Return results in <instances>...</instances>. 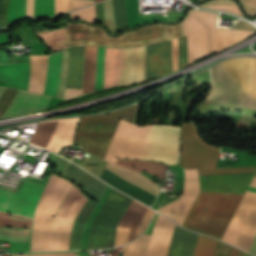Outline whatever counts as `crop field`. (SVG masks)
<instances>
[{
    "label": "crop field",
    "mask_w": 256,
    "mask_h": 256,
    "mask_svg": "<svg viewBox=\"0 0 256 256\" xmlns=\"http://www.w3.org/2000/svg\"><path fill=\"white\" fill-rule=\"evenodd\" d=\"M71 17L73 21L77 19H85L87 21L96 23L94 5L72 12Z\"/></svg>",
    "instance_id": "crop-field-36"
},
{
    "label": "crop field",
    "mask_w": 256,
    "mask_h": 256,
    "mask_svg": "<svg viewBox=\"0 0 256 256\" xmlns=\"http://www.w3.org/2000/svg\"><path fill=\"white\" fill-rule=\"evenodd\" d=\"M247 190H249V191H253V192H256V188H254V187H248V189Z\"/></svg>",
    "instance_id": "crop-field-56"
},
{
    "label": "crop field",
    "mask_w": 256,
    "mask_h": 256,
    "mask_svg": "<svg viewBox=\"0 0 256 256\" xmlns=\"http://www.w3.org/2000/svg\"><path fill=\"white\" fill-rule=\"evenodd\" d=\"M54 0H34V17L53 16Z\"/></svg>",
    "instance_id": "crop-field-29"
},
{
    "label": "crop field",
    "mask_w": 256,
    "mask_h": 256,
    "mask_svg": "<svg viewBox=\"0 0 256 256\" xmlns=\"http://www.w3.org/2000/svg\"><path fill=\"white\" fill-rule=\"evenodd\" d=\"M175 224L158 215L146 256H168ZM197 234L175 227L169 256H192Z\"/></svg>",
    "instance_id": "crop-field-10"
},
{
    "label": "crop field",
    "mask_w": 256,
    "mask_h": 256,
    "mask_svg": "<svg viewBox=\"0 0 256 256\" xmlns=\"http://www.w3.org/2000/svg\"><path fill=\"white\" fill-rule=\"evenodd\" d=\"M9 0H0V15L6 16Z\"/></svg>",
    "instance_id": "crop-field-48"
},
{
    "label": "crop field",
    "mask_w": 256,
    "mask_h": 256,
    "mask_svg": "<svg viewBox=\"0 0 256 256\" xmlns=\"http://www.w3.org/2000/svg\"><path fill=\"white\" fill-rule=\"evenodd\" d=\"M219 150L203 141L194 122L183 123L180 167L198 168L199 176L255 172L256 166L216 169Z\"/></svg>",
    "instance_id": "crop-field-8"
},
{
    "label": "crop field",
    "mask_w": 256,
    "mask_h": 256,
    "mask_svg": "<svg viewBox=\"0 0 256 256\" xmlns=\"http://www.w3.org/2000/svg\"><path fill=\"white\" fill-rule=\"evenodd\" d=\"M217 13L190 11L183 22L184 36L188 39L187 65L219 52L253 34L250 31L215 29Z\"/></svg>",
    "instance_id": "crop-field-5"
},
{
    "label": "crop field",
    "mask_w": 256,
    "mask_h": 256,
    "mask_svg": "<svg viewBox=\"0 0 256 256\" xmlns=\"http://www.w3.org/2000/svg\"><path fill=\"white\" fill-rule=\"evenodd\" d=\"M21 17H25V0H10L7 14L8 24Z\"/></svg>",
    "instance_id": "crop-field-31"
},
{
    "label": "crop field",
    "mask_w": 256,
    "mask_h": 256,
    "mask_svg": "<svg viewBox=\"0 0 256 256\" xmlns=\"http://www.w3.org/2000/svg\"><path fill=\"white\" fill-rule=\"evenodd\" d=\"M79 192L80 191L73 185L70 192L67 194L66 198L64 199V201L62 202V204L58 208L57 212L67 215L73 201L75 200V198L77 197ZM58 213H57V215H61V214H58ZM65 215H61V216L65 217Z\"/></svg>",
    "instance_id": "crop-field-35"
},
{
    "label": "crop field",
    "mask_w": 256,
    "mask_h": 256,
    "mask_svg": "<svg viewBox=\"0 0 256 256\" xmlns=\"http://www.w3.org/2000/svg\"><path fill=\"white\" fill-rule=\"evenodd\" d=\"M113 189L90 230L87 249L113 247L116 226L133 200ZM153 214L133 200L118 226L131 228L129 242L133 241L147 228Z\"/></svg>",
    "instance_id": "crop-field-3"
},
{
    "label": "crop field",
    "mask_w": 256,
    "mask_h": 256,
    "mask_svg": "<svg viewBox=\"0 0 256 256\" xmlns=\"http://www.w3.org/2000/svg\"><path fill=\"white\" fill-rule=\"evenodd\" d=\"M88 4H94V1L89 0H69V11L78 9Z\"/></svg>",
    "instance_id": "crop-field-43"
},
{
    "label": "crop field",
    "mask_w": 256,
    "mask_h": 256,
    "mask_svg": "<svg viewBox=\"0 0 256 256\" xmlns=\"http://www.w3.org/2000/svg\"><path fill=\"white\" fill-rule=\"evenodd\" d=\"M44 25H45V22L39 23L35 27V33L39 34V33L54 31V30H47ZM64 28H66V21L62 20L61 27L56 30L64 29ZM38 36L45 43V45L51 49L52 53L62 48H68L67 46H65L66 29L39 34Z\"/></svg>",
    "instance_id": "crop-field-19"
},
{
    "label": "crop field",
    "mask_w": 256,
    "mask_h": 256,
    "mask_svg": "<svg viewBox=\"0 0 256 256\" xmlns=\"http://www.w3.org/2000/svg\"><path fill=\"white\" fill-rule=\"evenodd\" d=\"M97 21L104 24L102 2L95 5ZM105 25V24H104Z\"/></svg>",
    "instance_id": "crop-field-46"
},
{
    "label": "crop field",
    "mask_w": 256,
    "mask_h": 256,
    "mask_svg": "<svg viewBox=\"0 0 256 256\" xmlns=\"http://www.w3.org/2000/svg\"><path fill=\"white\" fill-rule=\"evenodd\" d=\"M113 1H114L117 33H118L120 29L128 27L125 0H113Z\"/></svg>",
    "instance_id": "crop-field-30"
},
{
    "label": "crop field",
    "mask_w": 256,
    "mask_h": 256,
    "mask_svg": "<svg viewBox=\"0 0 256 256\" xmlns=\"http://www.w3.org/2000/svg\"><path fill=\"white\" fill-rule=\"evenodd\" d=\"M179 43V69L186 66L187 60V39L185 37L178 38Z\"/></svg>",
    "instance_id": "crop-field-38"
},
{
    "label": "crop field",
    "mask_w": 256,
    "mask_h": 256,
    "mask_svg": "<svg viewBox=\"0 0 256 256\" xmlns=\"http://www.w3.org/2000/svg\"><path fill=\"white\" fill-rule=\"evenodd\" d=\"M49 99V96L18 91L4 117L20 116L44 109Z\"/></svg>",
    "instance_id": "crop-field-15"
},
{
    "label": "crop field",
    "mask_w": 256,
    "mask_h": 256,
    "mask_svg": "<svg viewBox=\"0 0 256 256\" xmlns=\"http://www.w3.org/2000/svg\"><path fill=\"white\" fill-rule=\"evenodd\" d=\"M250 186H254L256 187V177H253L251 183H250Z\"/></svg>",
    "instance_id": "crop-field-55"
},
{
    "label": "crop field",
    "mask_w": 256,
    "mask_h": 256,
    "mask_svg": "<svg viewBox=\"0 0 256 256\" xmlns=\"http://www.w3.org/2000/svg\"><path fill=\"white\" fill-rule=\"evenodd\" d=\"M0 240L30 242V230L0 227Z\"/></svg>",
    "instance_id": "crop-field-26"
},
{
    "label": "crop field",
    "mask_w": 256,
    "mask_h": 256,
    "mask_svg": "<svg viewBox=\"0 0 256 256\" xmlns=\"http://www.w3.org/2000/svg\"><path fill=\"white\" fill-rule=\"evenodd\" d=\"M72 184L52 174L36 208L30 252L47 251L54 213ZM80 192L67 217L55 216L49 238L48 251L67 250L73 223L86 202ZM96 204L87 200L71 231L68 250L79 249L82 231Z\"/></svg>",
    "instance_id": "crop-field-2"
},
{
    "label": "crop field",
    "mask_w": 256,
    "mask_h": 256,
    "mask_svg": "<svg viewBox=\"0 0 256 256\" xmlns=\"http://www.w3.org/2000/svg\"><path fill=\"white\" fill-rule=\"evenodd\" d=\"M30 63L0 64V80L26 88L29 84Z\"/></svg>",
    "instance_id": "crop-field-16"
},
{
    "label": "crop field",
    "mask_w": 256,
    "mask_h": 256,
    "mask_svg": "<svg viewBox=\"0 0 256 256\" xmlns=\"http://www.w3.org/2000/svg\"><path fill=\"white\" fill-rule=\"evenodd\" d=\"M5 88H0V96L2 95V93L4 92Z\"/></svg>",
    "instance_id": "crop-field-57"
},
{
    "label": "crop field",
    "mask_w": 256,
    "mask_h": 256,
    "mask_svg": "<svg viewBox=\"0 0 256 256\" xmlns=\"http://www.w3.org/2000/svg\"><path fill=\"white\" fill-rule=\"evenodd\" d=\"M44 186L21 179L16 189L0 186V212L32 220Z\"/></svg>",
    "instance_id": "crop-field-12"
},
{
    "label": "crop field",
    "mask_w": 256,
    "mask_h": 256,
    "mask_svg": "<svg viewBox=\"0 0 256 256\" xmlns=\"http://www.w3.org/2000/svg\"><path fill=\"white\" fill-rule=\"evenodd\" d=\"M203 7H209V8H214V9H218V10H225L230 13H234V14L243 16L238 8V5L203 6Z\"/></svg>",
    "instance_id": "crop-field-42"
},
{
    "label": "crop field",
    "mask_w": 256,
    "mask_h": 256,
    "mask_svg": "<svg viewBox=\"0 0 256 256\" xmlns=\"http://www.w3.org/2000/svg\"><path fill=\"white\" fill-rule=\"evenodd\" d=\"M182 35L180 24L175 26L152 25L135 32H127L119 38H109L100 28L84 24L67 23V46L83 44L110 47H131L148 45Z\"/></svg>",
    "instance_id": "crop-field-7"
},
{
    "label": "crop field",
    "mask_w": 256,
    "mask_h": 256,
    "mask_svg": "<svg viewBox=\"0 0 256 256\" xmlns=\"http://www.w3.org/2000/svg\"><path fill=\"white\" fill-rule=\"evenodd\" d=\"M194 199L178 198L156 210L174 222L182 225Z\"/></svg>",
    "instance_id": "crop-field-22"
},
{
    "label": "crop field",
    "mask_w": 256,
    "mask_h": 256,
    "mask_svg": "<svg viewBox=\"0 0 256 256\" xmlns=\"http://www.w3.org/2000/svg\"><path fill=\"white\" fill-rule=\"evenodd\" d=\"M7 25L5 17H0V28L4 27Z\"/></svg>",
    "instance_id": "crop-field-54"
},
{
    "label": "crop field",
    "mask_w": 256,
    "mask_h": 256,
    "mask_svg": "<svg viewBox=\"0 0 256 256\" xmlns=\"http://www.w3.org/2000/svg\"><path fill=\"white\" fill-rule=\"evenodd\" d=\"M104 51H105V47H99L98 54H97L96 77H95L94 91L102 89L103 71H104Z\"/></svg>",
    "instance_id": "crop-field-32"
},
{
    "label": "crop field",
    "mask_w": 256,
    "mask_h": 256,
    "mask_svg": "<svg viewBox=\"0 0 256 256\" xmlns=\"http://www.w3.org/2000/svg\"><path fill=\"white\" fill-rule=\"evenodd\" d=\"M8 36L9 34L0 36V44L9 43Z\"/></svg>",
    "instance_id": "crop-field-53"
},
{
    "label": "crop field",
    "mask_w": 256,
    "mask_h": 256,
    "mask_svg": "<svg viewBox=\"0 0 256 256\" xmlns=\"http://www.w3.org/2000/svg\"><path fill=\"white\" fill-rule=\"evenodd\" d=\"M48 55L30 56L31 77L28 91L43 94Z\"/></svg>",
    "instance_id": "crop-field-20"
},
{
    "label": "crop field",
    "mask_w": 256,
    "mask_h": 256,
    "mask_svg": "<svg viewBox=\"0 0 256 256\" xmlns=\"http://www.w3.org/2000/svg\"><path fill=\"white\" fill-rule=\"evenodd\" d=\"M231 256H247V254L233 247Z\"/></svg>",
    "instance_id": "crop-field-51"
},
{
    "label": "crop field",
    "mask_w": 256,
    "mask_h": 256,
    "mask_svg": "<svg viewBox=\"0 0 256 256\" xmlns=\"http://www.w3.org/2000/svg\"><path fill=\"white\" fill-rule=\"evenodd\" d=\"M255 176H256V174H255Z\"/></svg>",
    "instance_id": "crop-field-59"
},
{
    "label": "crop field",
    "mask_w": 256,
    "mask_h": 256,
    "mask_svg": "<svg viewBox=\"0 0 256 256\" xmlns=\"http://www.w3.org/2000/svg\"><path fill=\"white\" fill-rule=\"evenodd\" d=\"M68 0H55L56 15L67 12Z\"/></svg>",
    "instance_id": "crop-field-44"
},
{
    "label": "crop field",
    "mask_w": 256,
    "mask_h": 256,
    "mask_svg": "<svg viewBox=\"0 0 256 256\" xmlns=\"http://www.w3.org/2000/svg\"><path fill=\"white\" fill-rule=\"evenodd\" d=\"M16 93L17 90L6 88L5 92L0 98V117H3Z\"/></svg>",
    "instance_id": "crop-field-37"
},
{
    "label": "crop field",
    "mask_w": 256,
    "mask_h": 256,
    "mask_svg": "<svg viewBox=\"0 0 256 256\" xmlns=\"http://www.w3.org/2000/svg\"><path fill=\"white\" fill-rule=\"evenodd\" d=\"M76 252L67 253H49V254H31V255H11V256H74Z\"/></svg>",
    "instance_id": "crop-field-45"
},
{
    "label": "crop field",
    "mask_w": 256,
    "mask_h": 256,
    "mask_svg": "<svg viewBox=\"0 0 256 256\" xmlns=\"http://www.w3.org/2000/svg\"><path fill=\"white\" fill-rule=\"evenodd\" d=\"M104 14H105L106 28H108L111 31V33L116 34L115 17H114L112 0H108L104 2Z\"/></svg>",
    "instance_id": "crop-field-34"
},
{
    "label": "crop field",
    "mask_w": 256,
    "mask_h": 256,
    "mask_svg": "<svg viewBox=\"0 0 256 256\" xmlns=\"http://www.w3.org/2000/svg\"><path fill=\"white\" fill-rule=\"evenodd\" d=\"M82 94V90L78 89H66L64 99H69Z\"/></svg>",
    "instance_id": "crop-field-47"
},
{
    "label": "crop field",
    "mask_w": 256,
    "mask_h": 256,
    "mask_svg": "<svg viewBox=\"0 0 256 256\" xmlns=\"http://www.w3.org/2000/svg\"><path fill=\"white\" fill-rule=\"evenodd\" d=\"M184 174H185L184 190H183L182 196L180 197L195 198L199 191L197 169L196 170L185 169Z\"/></svg>",
    "instance_id": "crop-field-25"
},
{
    "label": "crop field",
    "mask_w": 256,
    "mask_h": 256,
    "mask_svg": "<svg viewBox=\"0 0 256 256\" xmlns=\"http://www.w3.org/2000/svg\"><path fill=\"white\" fill-rule=\"evenodd\" d=\"M26 17H33V0H27V14Z\"/></svg>",
    "instance_id": "crop-field-50"
},
{
    "label": "crop field",
    "mask_w": 256,
    "mask_h": 256,
    "mask_svg": "<svg viewBox=\"0 0 256 256\" xmlns=\"http://www.w3.org/2000/svg\"><path fill=\"white\" fill-rule=\"evenodd\" d=\"M242 196L200 191L182 226L221 239Z\"/></svg>",
    "instance_id": "crop-field-6"
},
{
    "label": "crop field",
    "mask_w": 256,
    "mask_h": 256,
    "mask_svg": "<svg viewBox=\"0 0 256 256\" xmlns=\"http://www.w3.org/2000/svg\"><path fill=\"white\" fill-rule=\"evenodd\" d=\"M218 4H236L231 0H212L206 3H203V5H218Z\"/></svg>",
    "instance_id": "crop-field-49"
},
{
    "label": "crop field",
    "mask_w": 256,
    "mask_h": 256,
    "mask_svg": "<svg viewBox=\"0 0 256 256\" xmlns=\"http://www.w3.org/2000/svg\"><path fill=\"white\" fill-rule=\"evenodd\" d=\"M99 1H102V0H95V3H96V2H99Z\"/></svg>",
    "instance_id": "crop-field-58"
},
{
    "label": "crop field",
    "mask_w": 256,
    "mask_h": 256,
    "mask_svg": "<svg viewBox=\"0 0 256 256\" xmlns=\"http://www.w3.org/2000/svg\"><path fill=\"white\" fill-rule=\"evenodd\" d=\"M145 54V46L123 49L120 86L144 80Z\"/></svg>",
    "instance_id": "crop-field-13"
},
{
    "label": "crop field",
    "mask_w": 256,
    "mask_h": 256,
    "mask_svg": "<svg viewBox=\"0 0 256 256\" xmlns=\"http://www.w3.org/2000/svg\"><path fill=\"white\" fill-rule=\"evenodd\" d=\"M130 229L117 227L115 244L119 245L127 242Z\"/></svg>",
    "instance_id": "crop-field-39"
},
{
    "label": "crop field",
    "mask_w": 256,
    "mask_h": 256,
    "mask_svg": "<svg viewBox=\"0 0 256 256\" xmlns=\"http://www.w3.org/2000/svg\"><path fill=\"white\" fill-rule=\"evenodd\" d=\"M31 222L0 213V226L30 228Z\"/></svg>",
    "instance_id": "crop-field-33"
},
{
    "label": "crop field",
    "mask_w": 256,
    "mask_h": 256,
    "mask_svg": "<svg viewBox=\"0 0 256 256\" xmlns=\"http://www.w3.org/2000/svg\"><path fill=\"white\" fill-rule=\"evenodd\" d=\"M136 106L109 114L83 117L75 143L103 160L120 118L133 123Z\"/></svg>",
    "instance_id": "crop-field-9"
},
{
    "label": "crop field",
    "mask_w": 256,
    "mask_h": 256,
    "mask_svg": "<svg viewBox=\"0 0 256 256\" xmlns=\"http://www.w3.org/2000/svg\"><path fill=\"white\" fill-rule=\"evenodd\" d=\"M256 235V193L246 191L222 240L248 251Z\"/></svg>",
    "instance_id": "crop-field-11"
},
{
    "label": "crop field",
    "mask_w": 256,
    "mask_h": 256,
    "mask_svg": "<svg viewBox=\"0 0 256 256\" xmlns=\"http://www.w3.org/2000/svg\"><path fill=\"white\" fill-rule=\"evenodd\" d=\"M146 79L172 72L170 40L146 46Z\"/></svg>",
    "instance_id": "crop-field-14"
},
{
    "label": "crop field",
    "mask_w": 256,
    "mask_h": 256,
    "mask_svg": "<svg viewBox=\"0 0 256 256\" xmlns=\"http://www.w3.org/2000/svg\"><path fill=\"white\" fill-rule=\"evenodd\" d=\"M173 71L178 69V43L177 38L171 40Z\"/></svg>",
    "instance_id": "crop-field-41"
},
{
    "label": "crop field",
    "mask_w": 256,
    "mask_h": 256,
    "mask_svg": "<svg viewBox=\"0 0 256 256\" xmlns=\"http://www.w3.org/2000/svg\"><path fill=\"white\" fill-rule=\"evenodd\" d=\"M239 1L246 13L252 16L256 14V0H239Z\"/></svg>",
    "instance_id": "crop-field-40"
},
{
    "label": "crop field",
    "mask_w": 256,
    "mask_h": 256,
    "mask_svg": "<svg viewBox=\"0 0 256 256\" xmlns=\"http://www.w3.org/2000/svg\"><path fill=\"white\" fill-rule=\"evenodd\" d=\"M121 54H122V49L106 48L104 88L118 85L120 64H121Z\"/></svg>",
    "instance_id": "crop-field-18"
},
{
    "label": "crop field",
    "mask_w": 256,
    "mask_h": 256,
    "mask_svg": "<svg viewBox=\"0 0 256 256\" xmlns=\"http://www.w3.org/2000/svg\"><path fill=\"white\" fill-rule=\"evenodd\" d=\"M149 239H150V236L143 235L137 240V242L135 241L136 246H135V242H133L129 245H126L125 249H124L123 256H132L134 246H135V249H134L133 256H145L147 247H148V243H149Z\"/></svg>",
    "instance_id": "crop-field-27"
},
{
    "label": "crop field",
    "mask_w": 256,
    "mask_h": 256,
    "mask_svg": "<svg viewBox=\"0 0 256 256\" xmlns=\"http://www.w3.org/2000/svg\"><path fill=\"white\" fill-rule=\"evenodd\" d=\"M248 252L256 255V237H255V239H254V241H253V243H252V245H251V247H250Z\"/></svg>",
    "instance_id": "crop-field-52"
},
{
    "label": "crop field",
    "mask_w": 256,
    "mask_h": 256,
    "mask_svg": "<svg viewBox=\"0 0 256 256\" xmlns=\"http://www.w3.org/2000/svg\"><path fill=\"white\" fill-rule=\"evenodd\" d=\"M217 240L199 235L194 256H214ZM231 246L219 241L215 256H230Z\"/></svg>",
    "instance_id": "crop-field-21"
},
{
    "label": "crop field",
    "mask_w": 256,
    "mask_h": 256,
    "mask_svg": "<svg viewBox=\"0 0 256 256\" xmlns=\"http://www.w3.org/2000/svg\"><path fill=\"white\" fill-rule=\"evenodd\" d=\"M152 125H134L120 120L104 160L115 162L116 157L139 159ZM180 127L153 125L140 159L177 164L179 158ZM107 163L100 179L128 195L151 205L158 192L157 184L137 172L146 171L160 179L165 178L167 165L154 162L117 159Z\"/></svg>",
    "instance_id": "crop-field-1"
},
{
    "label": "crop field",
    "mask_w": 256,
    "mask_h": 256,
    "mask_svg": "<svg viewBox=\"0 0 256 256\" xmlns=\"http://www.w3.org/2000/svg\"><path fill=\"white\" fill-rule=\"evenodd\" d=\"M206 101L256 108V58H230L212 68Z\"/></svg>",
    "instance_id": "crop-field-4"
},
{
    "label": "crop field",
    "mask_w": 256,
    "mask_h": 256,
    "mask_svg": "<svg viewBox=\"0 0 256 256\" xmlns=\"http://www.w3.org/2000/svg\"><path fill=\"white\" fill-rule=\"evenodd\" d=\"M97 47L86 46L83 94L92 92L94 88V72L96 63Z\"/></svg>",
    "instance_id": "crop-field-23"
},
{
    "label": "crop field",
    "mask_w": 256,
    "mask_h": 256,
    "mask_svg": "<svg viewBox=\"0 0 256 256\" xmlns=\"http://www.w3.org/2000/svg\"><path fill=\"white\" fill-rule=\"evenodd\" d=\"M84 50L85 46L71 49L66 88L82 89Z\"/></svg>",
    "instance_id": "crop-field-17"
},
{
    "label": "crop field",
    "mask_w": 256,
    "mask_h": 256,
    "mask_svg": "<svg viewBox=\"0 0 256 256\" xmlns=\"http://www.w3.org/2000/svg\"><path fill=\"white\" fill-rule=\"evenodd\" d=\"M61 52L50 54L47 81L44 94L54 96L56 95L58 74L60 67Z\"/></svg>",
    "instance_id": "crop-field-24"
},
{
    "label": "crop field",
    "mask_w": 256,
    "mask_h": 256,
    "mask_svg": "<svg viewBox=\"0 0 256 256\" xmlns=\"http://www.w3.org/2000/svg\"><path fill=\"white\" fill-rule=\"evenodd\" d=\"M69 51H70V48L64 49L62 53L60 76H59L58 89H57V95H56V97L62 98V99L64 95L65 83L67 78Z\"/></svg>",
    "instance_id": "crop-field-28"
}]
</instances>
